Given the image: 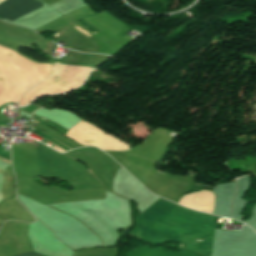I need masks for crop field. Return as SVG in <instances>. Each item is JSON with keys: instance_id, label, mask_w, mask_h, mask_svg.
<instances>
[{"instance_id": "8a807250", "label": "crop field", "mask_w": 256, "mask_h": 256, "mask_svg": "<svg viewBox=\"0 0 256 256\" xmlns=\"http://www.w3.org/2000/svg\"><path fill=\"white\" fill-rule=\"evenodd\" d=\"M34 0H5L0 4V17L5 18Z\"/></svg>"}, {"instance_id": "ac0d7876", "label": "crop field", "mask_w": 256, "mask_h": 256, "mask_svg": "<svg viewBox=\"0 0 256 256\" xmlns=\"http://www.w3.org/2000/svg\"><path fill=\"white\" fill-rule=\"evenodd\" d=\"M40 8H42V3L35 1L29 4L28 6L24 7L23 9L17 11L16 13L10 15L6 19L17 22Z\"/></svg>"}, {"instance_id": "34b2d1b8", "label": "crop field", "mask_w": 256, "mask_h": 256, "mask_svg": "<svg viewBox=\"0 0 256 256\" xmlns=\"http://www.w3.org/2000/svg\"><path fill=\"white\" fill-rule=\"evenodd\" d=\"M18 256H44L36 253H28V254H23V255H18Z\"/></svg>"}, {"instance_id": "412701ff", "label": "crop field", "mask_w": 256, "mask_h": 256, "mask_svg": "<svg viewBox=\"0 0 256 256\" xmlns=\"http://www.w3.org/2000/svg\"><path fill=\"white\" fill-rule=\"evenodd\" d=\"M156 172H158V173H162V172H159V171H157V170H156ZM162 174H164V173H162Z\"/></svg>"}]
</instances>
